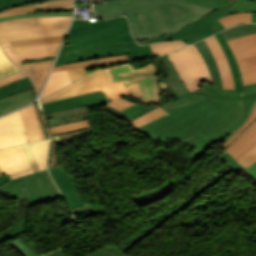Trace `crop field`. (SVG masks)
Instances as JSON below:
<instances>
[{
    "mask_svg": "<svg viewBox=\"0 0 256 256\" xmlns=\"http://www.w3.org/2000/svg\"><path fill=\"white\" fill-rule=\"evenodd\" d=\"M216 38L218 39V41L220 42L225 54H226V57L230 63V67H231V71H232V74H233V78H234V83H235V87L236 89H242V82H241V77H240V73H239V70H238V66H237V63L232 55V52L230 50V48L228 47L225 39L223 38L221 32L218 33V34H215Z\"/></svg>",
    "mask_w": 256,
    "mask_h": 256,
    "instance_id": "crop-field-27",
    "label": "crop field"
},
{
    "mask_svg": "<svg viewBox=\"0 0 256 256\" xmlns=\"http://www.w3.org/2000/svg\"><path fill=\"white\" fill-rule=\"evenodd\" d=\"M231 13H236V10H231L230 8L227 9H222V10H217L211 14H208L207 16L197 20L196 22H193L192 24L188 25L187 27L173 33V34H169L167 36H161L152 40H148V41H144V42H140L139 44H148V43H152V42H159V41H168V40H174L190 31H193L203 25H206L216 19H219L221 17L227 16Z\"/></svg>",
    "mask_w": 256,
    "mask_h": 256,
    "instance_id": "crop-field-17",
    "label": "crop field"
},
{
    "mask_svg": "<svg viewBox=\"0 0 256 256\" xmlns=\"http://www.w3.org/2000/svg\"><path fill=\"white\" fill-rule=\"evenodd\" d=\"M1 45H2L5 53L8 55V57L17 66H19L25 73H27L31 77V79H32V81H33V83H34V85H35V87H36V89L39 93V91H40V89H41V87H42V85H43V83H44V81H45V79H46V77L49 73L50 67L49 68H44V69H38V70L25 71L23 69V66H22L21 59H20L19 55L14 50V48L10 45V43L5 42V43H1ZM33 73H35V76H33Z\"/></svg>",
    "mask_w": 256,
    "mask_h": 256,
    "instance_id": "crop-field-20",
    "label": "crop field"
},
{
    "mask_svg": "<svg viewBox=\"0 0 256 256\" xmlns=\"http://www.w3.org/2000/svg\"><path fill=\"white\" fill-rule=\"evenodd\" d=\"M256 135V128L251 131L242 141H240L232 150H230L228 153L231 155L235 151H237L239 148H241L243 145H245L248 141H250L254 136Z\"/></svg>",
    "mask_w": 256,
    "mask_h": 256,
    "instance_id": "crop-field-55",
    "label": "crop field"
},
{
    "mask_svg": "<svg viewBox=\"0 0 256 256\" xmlns=\"http://www.w3.org/2000/svg\"><path fill=\"white\" fill-rule=\"evenodd\" d=\"M71 17H31L0 22V42L64 35Z\"/></svg>",
    "mask_w": 256,
    "mask_h": 256,
    "instance_id": "crop-field-4",
    "label": "crop field"
},
{
    "mask_svg": "<svg viewBox=\"0 0 256 256\" xmlns=\"http://www.w3.org/2000/svg\"><path fill=\"white\" fill-rule=\"evenodd\" d=\"M205 40L208 46L210 47L214 55L215 61L217 63L222 84H223V89H235L229 63L225 57V54L219 42L214 37V35Z\"/></svg>",
    "mask_w": 256,
    "mask_h": 256,
    "instance_id": "crop-field-16",
    "label": "crop field"
},
{
    "mask_svg": "<svg viewBox=\"0 0 256 256\" xmlns=\"http://www.w3.org/2000/svg\"><path fill=\"white\" fill-rule=\"evenodd\" d=\"M73 8L72 0H54L35 5H24L17 8H10L0 12V17L20 15L25 13H36L37 9H63Z\"/></svg>",
    "mask_w": 256,
    "mask_h": 256,
    "instance_id": "crop-field-18",
    "label": "crop field"
},
{
    "mask_svg": "<svg viewBox=\"0 0 256 256\" xmlns=\"http://www.w3.org/2000/svg\"><path fill=\"white\" fill-rule=\"evenodd\" d=\"M195 45H196L198 51L200 52L201 56L203 57V59L205 60L207 66L209 68V71H210V74H211V76L213 78L214 84L216 86H218L219 89H222V85H221L218 69H217V66L215 64L214 58L212 56V53H211L210 49L208 48L207 44L203 40V41H201V42H199V43H197Z\"/></svg>",
    "mask_w": 256,
    "mask_h": 256,
    "instance_id": "crop-field-25",
    "label": "crop field"
},
{
    "mask_svg": "<svg viewBox=\"0 0 256 256\" xmlns=\"http://www.w3.org/2000/svg\"><path fill=\"white\" fill-rule=\"evenodd\" d=\"M89 128H90L89 120H85V121H80V122L58 126V127H49L48 130L50 135H56L61 133L85 130Z\"/></svg>",
    "mask_w": 256,
    "mask_h": 256,
    "instance_id": "crop-field-30",
    "label": "crop field"
},
{
    "mask_svg": "<svg viewBox=\"0 0 256 256\" xmlns=\"http://www.w3.org/2000/svg\"><path fill=\"white\" fill-rule=\"evenodd\" d=\"M71 84L67 70L52 72L41 98ZM40 98V99H41Z\"/></svg>",
    "mask_w": 256,
    "mask_h": 256,
    "instance_id": "crop-field-23",
    "label": "crop field"
},
{
    "mask_svg": "<svg viewBox=\"0 0 256 256\" xmlns=\"http://www.w3.org/2000/svg\"><path fill=\"white\" fill-rule=\"evenodd\" d=\"M54 60L51 61H45V62H40V63H33V64H25L23 65L25 70H30V69H38V68H43V67H49L52 65Z\"/></svg>",
    "mask_w": 256,
    "mask_h": 256,
    "instance_id": "crop-field-56",
    "label": "crop field"
},
{
    "mask_svg": "<svg viewBox=\"0 0 256 256\" xmlns=\"http://www.w3.org/2000/svg\"><path fill=\"white\" fill-rule=\"evenodd\" d=\"M87 210H91L90 205L79 207V208L73 209L71 211L73 214H75V213H79V212H83V211H87Z\"/></svg>",
    "mask_w": 256,
    "mask_h": 256,
    "instance_id": "crop-field-61",
    "label": "crop field"
},
{
    "mask_svg": "<svg viewBox=\"0 0 256 256\" xmlns=\"http://www.w3.org/2000/svg\"><path fill=\"white\" fill-rule=\"evenodd\" d=\"M158 107V106H156ZM156 107H152V108H146V107H143V106H140V105H137V104H134L130 107H127L121 111H124L126 113H128L129 115H131L133 118L130 119L129 121L133 120L134 118L140 116L141 114H143L144 112L150 110V109H153V108H156Z\"/></svg>",
    "mask_w": 256,
    "mask_h": 256,
    "instance_id": "crop-field-44",
    "label": "crop field"
},
{
    "mask_svg": "<svg viewBox=\"0 0 256 256\" xmlns=\"http://www.w3.org/2000/svg\"><path fill=\"white\" fill-rule=\"evenodd\" d=\"M243 90H222L219 99H242Z\"/></svg>",
    "mask_w": 256,
    "mask_h": 256,
    "instance_id": "crop-field-47",
    "label": "crop field"
},
{
    "mask_svg": "<svg viewBox=\"0 0 256 256\" xmlns=\"http://www.w3.org/2000/svg\"><path fill=\"white\" fill-rule=\"evenodd\" d=\"M22 147H23V149H24V151H25V153H26V155H27V157H28V159H29V161H30L34 171L35 172L38 171L39 169H38L35 157L33 155V152H32V149H31V145L28 144V145H24Z\"/></svg>",
    "mask_w": 256,
    "mask_h": 256,
    "instance_id": "crop-field-53",
    "label": "crop field"
},
{
    "mask_svg": "<svg viewBox=\"0 0 256 256\" xmlns=\"http://www.w3.org/2000/svg\"><path fill=\"white\" fill-rule=\"evenodd\" d=\"M61 43L44 44L35 46H26L15 48L22 62L30 61L34 59H40L45 57L55 56Z\"/></svg>",
    "mask_w": 256,
    "mask_h": 256,
    "instance_id": "crop-field-19",
    "label": "crop field"
},
{
    "mask_svg": "<svg viewBox=\"0 0 256 256\" xmlns=\"http://www.w3.org/2000/svg\"><path fill=\"white\" fill-rule=\"evenodd\" d=\"M127 51L131 61L154 56L149 45L128 48Z\"/></svg>",
    "mask_w": 256,
    "mask_h": 256,
    "instance_id": "crop-field-35",
    "label": "crop field"
},
{
    "mask_svg": "<svg viewBox=\"0 0 256 256\" xmlns=\"http://www.w3.org/2000/svg\"><path fill=\"white\" fill-rule=\"evenodd\" d=\"M160 59L171 76L165 78V81L167 82L168 86L178 99L165 105H162V107L166 111L199 102L210 96L217 98L220 90H218L217 87L209 83H202L200 91L189 92L186 86L184 85L183 81L181 80L180 76L177 74L174 66L169 61L168 57L166 55H163L160 57Z\"/></svg>",
    "mask_w": 256,
    "mask_h": 256,
    "instance_id": "crop-field-8",
    "label": "crop field"
},
{
    "mask_svg": "<svg viewBox=\"0 0 256 256\" xmlns=\"http://www.w3.org/2000/svg\"><path fill=\"white\" fill-rule=\"evenodd\" d=\"M32 149L40 170L46 169V160L49 148V141L32 143Z\"/></svg>",
    "mask_w": 256,
    "mask_h": 256,
    "instance_id": "crop-field-29",
    "label": "crop field"
},
{
    "mask_svg": "<svg viewBox=\"0 0 256 256\" xmlns=\"http://www.w3.org/2000/svg\"><path fill=\"white\" fill-rule=\"evenodd\" d=\"M223 29H225V28L221 25V23L218 20H216V21H214L206 26H203L193 32H190L176 40H185L188 43L192 44L204 37H207V36L214 34L220 30H223Z\"/></svg>",
    "mask_w": 256,
    "mask_h": 256,
    "instance_id": "crop-field-24",
    "label": "crop field"
},
{
    "mask_svg": "<svg viewBox=\"0 0 256 256\" xmlns=\"http://www.w3.org/2000/svg\"><path fill=\"white\" fill-rule=\"evenodd\" d=\"M230 8H236L238 12L256 13V0H236Z\"/></svg>",
    "mask_w": 256,
    "mask_h": 256,
    "instance_id": "crop-field-41",
    "label": "crop field"
},
{
    "mask_svg": "<svg viewBox=\"0 0 256 256\" xmlns=\"http://www.w3.org/2000/svg\"><path fill=\"white\" fill-rule=\"evenodd\" d=\"M185 85L192 90H200V83L213 84L208 68L194 45L168 54Z\"/></svg>",
    "mask_w": 256,
    "mask_h": 256,
    "instance_id": "crop-field-7",
    "label": "crop field"
},
{
    "mask_svg": "<svg viewBox=\"0 0 256 256\" xmlns=\"http://www.w3.org/2000/svg\"><path fill=\"white\" fill-rule=\"evenodd\" d=\"M49 170L59 189L65 195L71 209L85 205L77 190L75 180L69 173L60 166Z\"/></svg>",
    "mask_w": 256,
    "mask_h": 256,
    "instance_id": "crop-field-14",
    "label": "crop field"
},
{
    "mask_svg": "<svg viewBox=\"0 0 256 256\" xmlns=\"http://www.w3.org/2000/svg\"><path fill=\"white\" fill-rule=\"evenodd\" d=\"M110 82L128 79L132 96L146 103H158V92L154 83L156 69L153 64L133 69L131 63L107 68Z\"/></svg>",
    "mask_w": 256,
    "mask_h": 256,
    "instance_id": "crop-field-6",
    "label": "crop field"
},
{
    "mask_svg": "<svg viewBox=\"0 0 256 256\" xmlns=\"http://www.w3.org/2000/svg\"><path fill=\"white\" fill-rule=\"evenodd\" d=\"M252 22H256V14L252 13Z\"/></svg>",
    "mask_w": 256,
    "mask_h": 256,
    "instance_id": "crop-field-64",
    "label": "crop field"
},
{
    "mask_svg": "<svg viewBox=\"0 0 256 256\" xmlns=\"http://www.w3.org/2000/svg\"><path fill=\"white\" fill-rule=\"evenodd\" d=\"M8 180H10V177L9 175H3V176H0V185L7 182Z\"/></svg>",
    "mask_w": 256,
    "mask_h": 256,
    "instance_id": "crop-field-62",
    "label": "crop field"
},
{
    "mask_svg": "<svg viewBox=\"0 0 256 256\" xmlns=\"http://www.w3.org/2000/svg\"><path fill=\"white\" fill-rule=\"evenodd\" d=\"M255 103H256V101L253 103V105H252V107H251V109H250L248 115L246 116L245 120H244L231 134H229V135L221 142L220 146L224 145V143L232 136V134L248 119V117H249V115H250V113H251V110H252L253 106L255 105Z\"/></svg>",
    "mask_w": 256,
    "mask_h": 256,
    "instance_id": "crop-field-59",
    "label": "crop field"
},
{
    "mask_svg": "<svg viewBox=\"0 0 256 256\" xmlns=\"http://www.w3.org/2000/svg\"><path fill=\"white\" fill-rule=\"evenodd\" d=\"M103 102H109L107 97L103 94V92L70 97L66 99H61L57 101L47 102L41 104L43 112H52L67 108L85 106V105H94Z\"/></svg>",
    "mask_w": 256,
    "mask_h": 256,
    "instance_id": "crop-field-15",
    "label": "crop field"
},
{
    "mask_svg": "<svg viewBox=\"0 0 256 256\" xmlns=\"http://www.w3.org/2000/svg\"><path fill=\"white\" fill-rule=\"evenodd\" d=\"M256 32V24H246L243 26H236L222 31L226 40Z\"/></svg>",
    "mask_w": 256,
    "mask_h": 256,
    "instance_id": "crop-field-32",
    "label": "crop field"
},
{
    "mask_svg": "<svg viewBox=\"0 0 256 256\" xmlns=\"http://www.w3.org/2000/svg\"><path fill=\"white\" fill-rule=\"evenodd\" d=\"M0 168L12 179L33 172L21 146L0 150Z\"/></svg>",
    "mask_w": 256,
    "mask_h": 256,
    "instance_id": "crop-field-12",
    "label": "crop field"
},
{
    "mask_svg": "<svg viewBox=\"0 0 256 256\" xmlns=\"http://www.w3.org/2000/svg\"><path fill=\"white\" fill-rule=\"evenodd\" d=\"M20 179L23 187L26 188L27 196H32L34 204L62 197L47 170L26 175Z\"/></svg>",
    "mask_w": 256,
    "mask_h": 256,
    "instance_id": "crop-field-10",
    "label": "crop field"
},
{
    "mask_svg": "<svg viewBox=\"0 0 256 256\" xmlns=\"http://www.w3.org/2000/svg\"><path fill=\"white\" fill-rule=\"evenodd\" d=\"M136 45L126 17L97 22L74 20L55 65L126 54L125 48Z\"/></svg>",
    "mask_w": 256,
    "mask_h": 256,
    "instance_id": "crop-field-3",
    "label": "crop field"
},
{
    "mask_svg": "<svg viewBox=\"0 0 256 256\" xmlns=\"http://www.w3.org/2000/svg\"><path fill=\"white\" fill-rule=\"evenodd\" d=\"M93 87L94 89L102 90L109 99L121 96H131L127 80Z\"/></svg>",
    "mask_w": 256,
    "mask_h": 256,
    "instance_id": "crop-field-26",
    "label": "crop field"
},
{
    "mask_svg": "<svg viewBox=\"0 0 256 256\" xmlns=\"http://www.w3.org/2000/svg\"><path fill=\"white\" fill-rule=\"evenodd\" d=\"M84 256H127L124 253H122L119 249H117L112 244L105 246L101 249H98L96 251H93L89 254H86Z\"/></svg>",
    "mask_w": 256,
    "mask_h": 256,
    "instance_id": "crop-field-40",
    "label": "crop field"
},
{
    "mask_svg": "<svg viewBox=\"0 0 256 256\" xmlns=\"http://www.w3.org/2000/svg\"><path fill=\"white\" fill-rule=\"evenodd\" d=\"M7 244L11 245L15 250H17L23 256H37L33 253L29 248H27L23 243L19 240L14 239Z\"/></svg>",
    "mask_w": 256,
    "mask_h": 256,
    "instance_id": "crop-field-45",
    "label": "crop field"
},
{
    "mask_svg": "<svg viewBox=\"0 0 256 256\" xmlns=\"http://www.w3.org/2000/svg\"><path fill=\"white\" fill-rule=\"evenodd\" d=\"M31 102V91L17 93L0 100V115Z\"/></svg>",
    "mask_w": 256,
    "mask_h": 256,
    "instance_id": "crop-field-22",
    "label": "crop field"
},
{
    "mask_svg": "<svg viewBox=\"0 0 256 256\" xmlns=\"http://www.w3.org/2000/svg\"><path fill=\"white\" fill-rule=\"evenodd\" d=\"M244 85L256 82V65L240 69Z\"/></svg>",
    "mask_w": 256,
    "mask_h": 256,
    "instance_id": "crop-field-43",
    "label": "crop field"
},
{
    "mask_svg": "<svg viewBox=\"0 0 256 256\" xmlns=\"http://www.w3.org/2000/svg\"><path fill=\"white\" fill-rule=\"evenodd\" d=\"M62 38H63V36H57V37H50V38L13 41V42H10V43L12 44L13 47H17V46H25V45H35V44H43V43L61 42Z\"/></svg>",
    "mask_w": 256,
    "mask_h": 256,
    "instance_id": "crop-field-37",
    "label": "crop field"
},
{
    "mask_svg": "<svg viewBox=\"0 0 256 256\" xmlns=\"http://www.w3.org/2000/svg\"><path fill=\"white\" fill-rule=\"evenodd\" d=\"M18 69L6 58L0 48V78L15 73L19 71Z\"/></svg>",
    "mask_w": 256,
    "mask_h": 256,
    "instance_id": "crop-field-39",
    "label": "crop field"
},
{
    "mask_svg": "<svg viewBox=\"0 0 256 256\" xmlns=\"http://www.w3.org/2000/svg\"><path fill=\"white\" fill-rule=\"evenodd\" d=\"M93 9L105 19L126 14L138 42L172 33L214 11L182 0H113Z\"/></svg>",
    "mask_w": 256,
    "mask_h": 256,
    "instance_id": "crop-field-1",
    "label": "crop field"
},
{
    "mask_svg": "<svg viewBox=\"0 0 256 256\" xmlns=\"http://www.w3.org/2000/svg\"><path fill=\"white\" fill-rule=\"evenodd\" d=\"M108 82L109 80H108L106 68L97 69L92 73L86 75L85 77L81 78L80 80L74 82L73 84L61 89L60 91L40 101L41 103H43V102L66 98L70 96L99 92L98 90H94L92 85L104 84Z\"/></svg>",
    "mask_w": 256,
    "mask_h": 256,
    "instance_id": "crop-field-11",
    "label": "crop field"
},
{
    "mask_svg": "<svg viewBox=\"0 0 256 256\" xmlns=\"http://www.w3.org/2000/svg\"><path fill=\"white\" fill-rule=\"evenodd\" d=\"M25 224H26V219H24L18 223H15L8 229L0 232V242L4 241L6 239H9L12 236H15V235L25 231Z\"/></svg>",
    "mask_w": 256,
    "mask_h": 256,
    "instance_id": "crop-field-38",
    "label": "crop field"
},
{
    "mask_svg": "<svg viewBox=\"0 0 256 256\" xmlns=\"http://www.w3.org/2000/svg\"><path fill=\"white\" fill-rule=\"evenodd\" d=\"M242 100L208 98L199 103L168 111V115L144 127V134L161 141L178 143L197 133L203 138L227 128L242 113Z\"/></svg>",
    "mask_w": 256,
    "mask_h": 256,
    "instance_id": "crop-field-2",
    "label": "crop field"
},
{
    "mask_svg": "<svg viewBox=\"0 0 256 256\" xmlns=\"http://www.w3.org/2000/svg\"><path fill=\"white\" fill-rule=\"evenodd\" d=\"M256 100V83L244 86V93H243V113L239 120L225 129L222 132H219L208 139H203L197 134L181 141L180 143L185 144L187 146L195 148V152L192 156V160H196L200 158L203 153L214 145L217 142H221L229 133H231L245 118L251 104Z\"/></svg>",
    "mask_w": 256,
    "mask_h": 256,
    "instance_id": "crop-field-9",
    "label": "crop field"
},
{
    "mask_svg": "<svg viewBox=\"0 0 256 256\" xmlns=\"http://www.w3.org/2000/svg\"><path fill=\"white\" fill-rule=\"evenodd\" d=\"M0 175H2V172H1V170H0Z\"/></svg>",
    "mask_w": 256,
    "mask_h": 256,
    "instance_id": "crop-field-66",
    "label": "crop field"
},
{
    "mask_svg": "<svg viewBox=\"0 0 256 256\" xmlns=\"http://www.w3.org/2000/svg\"><path fill=\"white\" fill-rule=\"evenodd\" d=\"M52 15H73V13L25 14V15H20V16H12V17L0 18V21L9 20V19L25 18V17H31V16H52Z\"/></svg>",
    "mask_w": 256,
    "mask_h": 256,
    "instance_id": "crop-field-51",
    "label": "crop field"
},
{
    "mask_svg": "<svg viewBox=\"0 0 256 256\" xmlns=\"http://www.w3.org/2000/svg\"><path fill=\"white\" fill-rule=\"evenodd\" d=\"M255 119H256V105H255L249 119L233 134V136L226 142V144L224 146H222V148L225 150L232 143V141L239 134H241Z\"/></svg>",
    "mask_w": 256,
    "mask_h": 256,
    "instance_id": "crop-field-42",
    "label": "crop field"
},
{
    "mask_svg": "<svg viewBox=\"0 0 256 256\" xmlns=\"http://www.w3.org/2000/svg\"><path fill=\"white\" fill-rule=\"evenodd\" d=\"M239 68L256 64V33L228 40Z\"/></svg>",
    "mask_w": 256,
    "mask_h": 256,
    "instance_id": "crop-field-13",
    "label": "crop field"
},
{
    "mask_svg": "<svg viewBox=\"0 0 256 256\" xmlns=\"http://www.w3.org/2000/svg\"><path fill=\"white\" fill-rule=\"evenodd\" d=\"M69 75L72 79V82L78 80L79 78L83 77L87 74V70L85 67L83 68H76V69H70L68 70Z\"/></svg>",
    "mask_w": 256,
    "mask_h": 256,
    "instance_id": "crop-field-52",
    "label": "crop field"
},
{
    "mask_svg": "<svg viewBox=\"0 0 256 256\" xmlns=\"http://www.w3.org/2000/svg\"><path fill=\"white\" fill-rule=\"evenodd\" d=\"M243 167L256 161V148L237 160Z\"/></svg>",
    "mask_w": 256,
    "mask_h": 256,
    "instance_id": "crop-field-50",
    "label": "crop field"
},
{
    "mask_svg": "<svg viewBox=\"0 0 256 256\" xmlns=\"http://www.w3.org/2000/svg\"><path fill=\"white\" fill-rule=\"evenodd\" d=\"M244 168L246 169L245 172L247 174H251L253 172H256V162H254V163H252V164H250V165H248V166H246Z\"/></svg>",
    "mask_w": 256,
    "mask_h": 256,
    "instance_id": "crop-field-60",
    "label": "crop field"
},
{
    "mask_svg": "<svg viewBox=\"0 0 256 256\" xmlns=\"http://www.w3.org/2000/svg\"><path fill=\"white\" fill-rule=\"evenodd\" d=\"M221 159L223 161H225L227 163V165L229 166V168H231L236 173L245 170L236 160L231 158L227 152H225V154L222 155Z\"/></svg>",
    "mask_w": 256,
    "mask_h": 256,
    "instance_id": "crop-field-46",
    "label": "crop field"
},
{
    "mask_svg": "<svg viewBox=\"0 0 256 256\" xmlns=\"http://www.w3.org/2000/svg\"><path fill=\"white\" fill-rule=\"evenodd\" d=\"M25 77H27V75L24 72L19 71L15 74H12L10 76H7L5 78L0 79V86H3L5 84L14 82L16 80H19V79H22V78H25Z\"/></svg>",
    "mask_w": 256,
    "mask_h": 256,
    "instance_id": "crop-field-49",
    "label": "crop field"
},
{
    "mask_svg": "<svg viewBox=\"0 0 256 256\" xmlns=\"http://www.w3.org/2000/svg\"><path fill=\"white\" fill-rule=\"evenodd\" d=\"M110 102L111 103H107V104H109V105H111V106H113V107H115L119 110L133 104V103H130V102L124 100L123 98L111 99Z\"/></svg>",
    "mask_w": 256,
    "mask_h": 256,
    "instance_id": "crop-field-54",
    "label": "crop field"
},
{
    "mask_svg": "<svg viewBox=\"0 0 256 256\" xmlns=\"http://www.w3.org/2000/svg\"><path fill=\"white\" fill-rule=\"evenodd\" d=\"M251 178H253L256 181V173L249 175Z\"/></svg>",
    "mask_w": 256,
    "mask_h": 256,
    "instance_id": "crop-field-65",
    "label": "crop field"
},
{
    "mask_svg": "<svg viewBox=\"0 0 256 256\" xmlns=\"http://www.w3.org/2000/svg\"><path fill=\"white\" fill-rule=\"evenodd\" d=\"M219 21L225 28L245 22H251V13L232 14L222 19H219Z\"/></svg>",
    "mask_w": 256,
    "mask_h": 256,
    "instance_id": "crop-field-34",
    "label": "crop field"
},
{
    "mask_svg": "<svg viewBox=\"0 0 256 256\" xmlns=\"http://www.w3.org/2000/svg\"><path fill=\"white\" fill-rule=\"evenodd\" d=\"M188 44L184 41L168 42V43H155L151 44V48L155 56L162 55L165 53L173 52L181 47L187 46Z\"/></svg>",
    "mask_w": 256,
    "mask_h": 256,
    "instance_id": "crop-field-31",
    "label": "crop field"
},
{
    "mask_svg": "<svg viewBox=\"0 0 256 256\" xmlns=\"http://www.w3.org/2000/svg\"><path fill=\"white\" fill-rule=\"evenodd\" d=\"M166 112L163 111L160 107L154 110H151L143 115H141L140 117L134 119L133 121H131V125L133 126V128H138L158 117H161L163 115H165Z\"/></svg>",
    "mask_w": 256,
    "mask_h": 256,
    "instance_id": "crop-field-33",
    "label": "crop field"
},
{
    "mask_svg": "<svg viewBox=\"0 0 256 256\" xmlns=\"http://www.w3.org/2000/svg\"><path fill=\"white\" fill-rule=\"evenodd\" d=\"M128 61H130V59L127 54L118 55V56L106 57L102 59L60 65V66L54 67L52 71H58V70H64V69H70V68H76V67H82V66H86L87 69L90 70L97 67L108 66V65H113V64H118V63H123Z\"/></svg>",
    "mask_w": 256,
    "mask_h": 256,
    "instance_id": "crop-field-21",
    "label": "crop field"
},
{
    "mask_svg": "<svg viewBox=\"0 0 256 256\" xmlns=\"http://www.w3.org/2000/svg\"><path fill=\"white\" fill-rule=\"evenodd\" d=\"M255 147H256V136L231 156L237 160L238 158H240L241 156H243L244 154H246L247 152H249Z\"/></svg>",
    "mask_w": 256,
    "mask_h": 256,
    "instance_id": "crop-field-48",
    "label": "crop field"
},
{
    "mask_svg": "<svg viewBox=\"0 0 256 256\" xmlns=\"http://www.w3.org/2000/svg\"><path fill=\"white\" fill-rule=\"evenodd\" d=\"M186 1L207 6L213 9H222V8L230 7L235 0H186Z\"/></svg>",
    "mask_w": 256,
    "mask_h": 256,
    "instance_id": "crop-field-36",
    "label": "crop field"
},
{
    "mask_svg": "<svg viewBox=\"0 0 256 256\" xmlns=\"http://www.w3.org/2000/svg\"><path fill=\"white\" fill-rule=\"evenodd\" d=\"M21 4H24L22 0H0V11L7 7Z\"/></svg>",
    "mask_w": 256,
    "mask_h": 256,
    "instance_id": "crop-field-57",
    "label": "crop field"
},
{
    "mask_svg": "<svg viewBox=\"0 0 256 256\" xmlns=\"http://www.w3.org/2000/svg\"><path fill=\"white\" fill-rule=\"evenodd\" d=\"M0 191L9 193L11 196H13L15 199L18 198H27L25 191L23 190V187L21 185L20 179H13L6 184L0 186ZM29 200V203L32 204V198H27Z\"/></svg>",
    "mask_w": 256,
    "mask_h": 256,
    "instance_id": "crop-field-28",
    "label": "crop field"
},
{
    "mask_svg": "<svg viewBox=\"0 0 256 256\" xmlns=\"http://www.w3.org/2000/svg\"><path fill=\"white\" fill-rule=\"evenodd\" d=\"M256 127V121L255 123L249 128L247 129L234 143L233 145L227 149L226 151L228 152L230 149H232L241 139H243L252 129H254Z\"/></svg>",
    "mask_w": 256,
    "mask_h": 256,
    "instance_id": "crop-field-58",
    "label": "crop field"
},
{
    "mask_svg": "<svg viewBox=\"0 0 256 256\" xmlns=\"http://www.w3.org/2000/svg\"><path fill=\"white\" fill-rule=\"evenodd\" d=\"M43 139L45 138L32 104L0 118V149Z\"/></svg>",
    "mask_w": 256,
    "mask_h": 256,
    "instance_id": "crop-field-5",
    "label": "crop field"
},
{
    "mask_svg": "<svg viewBox=\"0 0 256 256\" xmlns=\"http://www.w3.org/2000/svg\"><path fill=\"white\" fill-rule=\"evenodd\" d=\"M45 256H65V255L63 254L61 249H59V250H57V251H55V252H53V253H51L49 255H45Z\"/></svg>",
    "mask_w": 256,
    "mask_h": 256,
    "instance_id": "crop-field-63",
    "label": "crop field"
}]
</instances>
